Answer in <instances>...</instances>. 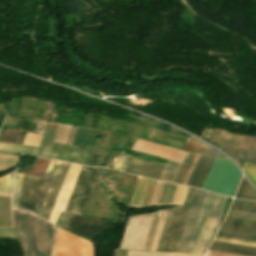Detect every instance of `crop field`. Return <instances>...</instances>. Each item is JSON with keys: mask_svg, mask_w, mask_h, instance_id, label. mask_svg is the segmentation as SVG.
Segmentation results:
<instances>
[{"mask_svg": "<svg viewBox=\"0 0 256 256\" xmlns=\"http://www.w3.org/2000/svg\"><path fill=\"white\" fill-rule=\"evenodd\" d=\"M128 256H196V255H181V254L128 251Z\"/></svg>", "mask_w": 256, "mask_h": 256, "instance_id": "37", "label": "crop field"}, {"mask_svg": "<svg viewBox=\"0 0 256 256\" xmlns=\"http://www.w3.org/2000/svg\"><path fill=\"white\" fill-rule=\"evenodd\" d=\"M216 132H217V130H216V129H214V131H213V133H212V135H211V137H210V139H209V142H211V140H212V139H213V137L215 136Z\"/></svg>", "mask_w": 256, "mask_h": 256, "instance_id": "55", "label": "crop field"}, {"mask_svg": "<svg viewBox=\"0 0 256 256\" xmlns=\"http://www.w3.org/2000/svg\"><path fill=\"white\" fill-rule=\"evenodd\" d=\"M240 175L230 160L216 158L201 188L232 197Z\"/></svg>", "mask_w": 256, "mask_h": 256, "instance_id": "4", "label": "crop field"}, {"mask_svg": "<svg viewBox=\"0 0 256 256\" xmlns=\"http://www.w3.org/2000/svg\"><path fill=\"white\" fill-rule=\"evenodd\" d=\"M78 149L76 147L53 144L48 158L73 163Z\"/></svg>", "mask_w": 256, "mask_h": 256, "instance_id": "15", "label": "crop field"}, {"mask_svg": "<svg viewBox=\"0 0 256 256\" xmlns=\"http://www.w3.org/2000/svg\"><path fill=\"white\" fill-rule=\"evenodd\" d=\"M209 132H210V130H209ZM209 132H208V134H209ZM208 134H207V136H208ZM207 138V137H206Z\"/></svg>", "mask_w": 256, "mask_h": 256, "instance_id": "60", "label": "crop field"}, {"mask_svg": "<svg viewBox=\"0 0 256 256\" xmlns=\"http://www.w3.org/2000/svg\"><path fill=\"white\" fill-rule=\"evenodd\" d=\"M112 225V222L71 215L66 227L94 239Z\"/></svg>", "mask_w": 256, "mask_h": 256, "instance_id": "10", "label": "crop field"}, {"mask_svg": "<svg viewBox=\"0 0 256 256\" xmlns=\"http://www.w3.org/2000/svg\"><path fill=\"white\" fill-rule=\"evenodd\" d=\"M217 235L256 241V234H250V233H243V232H236V231L220 229L219 232L217 233Z\"/></svg>", "mask_w": 256, "mask_h": 256, "instance_id": "24", "label": "crop field"}, {"mask_svg": "<svg viewBox=\"0 0 256 256\" xmlns=\"http://www.w3.org/2000/svg\"><path fill=\"white\" fill-rule=\"evenodd\" d=\"M230 209L238 210V211H245V212L256 213V207L255 206H248V205L232 203Z\"/></svg>", "mask_w": 256, "mask_h": 256, "instance_id": "41", "label": "crop field"}, {"mask_svg": "<svg viewBox=\"0 0 256 256\" xmlns=\"http://www.w3.org/2000/svg\"><path fill=\"white\" fill-rule=\"evenodd\" d=\"M208 250L244 256H256V248L212 242Z\"/></svg>", "mask_w": 256, "mask_h": 256, "instance_id": "14", "label": "crop field"}, {"mask_svg": "<svg viewBox=\"0 0 256 256\" xmlns=\"http://www.w3.org/2000/svg\"><path fill=\"white\" fill-rule=\"evenodd\" d=\"M58 124L47 123L37 155L47 157Z\"/></svg>", "mask_w": 256, "mask_h": 256, "instance_id": "18", "label": "crop field"}, {"mask_svg": "<svg viewBox=\"0 0 256 256\" xmlns=\"http://www.w3.org/2000/svg\"><path fill=\"white\" fill-rule=\"evenodd\" d=\"M62 164L51 160L46 172L58 175ZM48 173L44 178L28 175L22 209H28L42 216L57 179L56 175Z\"/></svg>", "mask_w": 256, "mask_h": 256, "instance_id": "3", "label": "crop field"}, {"mask_svg": "<svg viewBox=\"0 0 256 256\" xmlns=\"http://www.w3.org/2000/svg\"><path fill=\"white\" fill-rule=\"evenodd\" d=\"M42 135L26 133L23 145L39 147Z\"/></svg>", "mask_w": 256, "mask_h": 256, "instance_id": "33", "label": "crop field"}, {"mask_svg": "<svg viewBox=\"0 0 256 256\" xmlns=\"http://www.w3.org/2000/svg\"><path fill=\"white\" fill-rule=\"evenodd\" d=\"M71 127L69 125L59 124L53 142L65 144Z\"/></svg>", "mask_w": 256, "mask_h": 256, "instance_id": "28", "label": "crop field"}, {"mask_svg": "<svg viewBox=\"0 0 256 256\" xmlns=\"http://www.w3.org/2000/svg\"><path fill=\"white\" fill-rule=\"evenodd\" d=\"M22 175L15 174L13 208L17 209Z\"/></svg>", "mask_w": 256, "mask_h": 256, "instance_id": "39", "label": "crop field"}, {"mask_svg": "<svg viewBox=\"0 0 256 256\" xmlns=\"http://www.w3.org/2000/svg\"><path fill=\"white\" fill-rule=\"evenodd\" d=\"M230 137H231V134L223 131L222 134L219 137V140H223V141H227L228 142Z\"/></svg>", "mask_w": 256, "mask_h": 256, "instance_id": "51", "label": "crop field"}, {"mask_svg": "<svg viewBox=\"0 0 256 256\" xmlns=\"http://www.w3.org/2000/svg\"><path fill=\"white\" fill-rule=\"evenodd\" d=\"M226 199V197L207 193L188 253L205 254L217 230Z\"/></svg>", "mask_w": 256, "mask_h": 256, "instance_id": "2", "label": "crop field"}, {"mask_svg": "<svg viewBox=\"0 0 256 256\" xmlns=\"http://www.w3.org/2000/svg\"><path fill=\"white\" fill-rule=\"evenodd\" d=\"M100 169L91 167H82L68 203L65 212L82 215L93 188L94 182Z\"/></svg>", "mask_w": 256, "mask_h": 256, "instance_id": "6", "label": "crop field"}, {"mask_svg": "<svg viewBox=\"0 0 256 256\" xmlns=\"http://www.w3.org/2000/svg\"><path fill=\"white\" fill-rule=\"evenodd\" d=\"M168 210H163L150 251H155Z\"/></svg>", "mask_w": 256, "mask_h": 256, "instance_id": "32", "label": "crop field"}, {"mask_svg": "<svg viewBox=\"0 0 256 256\" xmlns=\"http://www.w3.org/2000/svg\"><path fill=\"white\" fill-rule=\"evenodd\" d=\"M13 173L14 171L0 178V194L12 195Z\"/></svg>", "mask_w": 256, "mask_h": 256, "instance_id": "25", "label": "crop field"}, {"mask_svg": "<svg viewBox=\"0 0 256 256\" xmlns=\"http://www.w3.org/2000/svg\"><path fill=\"white\" fill-rule=\"evenodd\" d=\"M188 188L178 186L172 204L182 205Z\"/></svg>", "mask_w": 256, "mask_h": 256, "instance_id": "40", "label": "crop field"}, {"mask_svg": "<svg viewBox=\"0 0 256 256\" xmlns=\"http://www.w3.org/2000/svg\"><path fill=\"white\" fill-rule=\"evenodd\" d=\"M182 149H184L186 151L198 153V154L225 157L224 155H222L218 151L214 150L210 146L204 144L203 142H201L197 139H193V138H188Z\"/></svg>", "mask_w": 256, "mask_h": 256, "instance_id": "17", "label": "crop field"}, {"mask_svg": "<svg viewBox=\"0 0 256 256\" xmlns=\"http://www.w3.org/2000/svg\"><path fill=\"white\" fill-rule=\"evenodd\" d=\"M0 238L17 239L13 227H0Z\"/></svg>", "mask_w": 256, "mask_h": 256, "instance_id": "42", "label": "crop field"}, {"mask_svg": "<svg viewBox=\"0 0 256 256\" xmlns=\"http://www.w3.org/2000/svg\"><path fill=\"white\" fill-rule=\"evenodd\" d=\"M210 157L201 156L187 185L195 187Z\"/></svg>", "mask_w": 256, "mask_h": 256, "instance_id": "23", "label": "crop field"}, {"mask_svg": "<svg viewBox=\"0 0 256 256\" xmlns=\"http://www.w3.org/2000/svg\"><path fill=\"white\" fill-rule=\"evenodd\" d=\"M194 190L189 188L184 206L168 211L156 251H176Z\"/></svg>", "mask_w": 256, "mask_h": 256, "instance_id": "5", "label": "crop field"}, {"mask_svg": "<svg viewBox=\"0 0 256 256\" xmlns=\"http://www.w3.org/2000/svg\"><path fill=\"white\" fill-rule=\"evenodd\" d=\"M100 130L78 127L72 145L80 146L74 163L87 165Z\"/></svg>", "mask_w": 256, "mask_h": 256, "instance_id": "11", "label": "crop field"}, {"mask_svg": "<svg viewBox=\"0 0 256 256\" xmlns=\"http://www.w3.org/2000/svg\"><path fill=\"white\" fill-rule=\"evenodd\" d=\"M176 186L165 182L157 205L171 204Z\"/></svg>", "mask_w": 256, "mask_h": 256, "instance_id": "21", "label": "crop field"}, {"mask_svg": "<svg viewBox=\"0 0 256 256\" xmlns=\"http://www.w3.org/2000/svg\"><path fill=\"white\" fill-rule=\"evenodd\" d=\"M146 129H147V128L144 127V129H143V131H142V134H141L142 137L144 136Z\"/></svg>", "mask_w": 256, "mask_h": 256, "instance_id": "56", "label": "crop field"}, {"mask_svg": "<svg viewBox=\"0 0 256 256\" xmlns=\"http://www.w3.org/2000/svg\"><path fill=\"white\" fill-rule=\"evenodd\" d=\"M165 165L128 156L122 171L159 180Z\"/></svg>", "mask_w": 256, "mask_h": 256, "instance_id": "12", "label": "crop field"}, {"mask_svg": "<svg viewBox=\"0 0 256 256\" xmlns=\"http://www.w3.org/2000/svg\"><path fill=\"white\" fill-rule=\"evenodd\" d=\"M242 137L243 136L233 135L230 141L231 143H233L232 147H231V144L220 142V141H218L217 144L222 148H224L230 154V156L236 159Z\"/></svg>", "mask_w": 256, "mask_h": 256, "instance_id": "22", "label": "crop field"}, {"mask_svg": "<svg viewBox=\"0 0 256 256\" xmlns=\"http://www.w3.org/2000/svg\"><path fill=\"white\" fill-rule=\"evenodd\" d=\"M214 241L256 247V242L216 236Z\"/></svg>", "mask_w": 256, "mask_h": 256, "instance_id": "31", "label": "crop field"}, {"mask_svg": "<svg viewBox=\"0 0 256 256\" xmlns=\"http://www.w3.org/2000/svg\"><path fill=\"white\" fill-rule=\"evenodd\" d=\"M132 151L183 163L187 152L137 139Z\"/></svg>", "mask_w": 256, "mask_h": 256, "instance_id": "9", "label": "crop field"}, {"mask_svg": "<svg viewBox=\"0 0 256 256\" xmlns=\"http://www.w3.org/2000/svg\"><path fill=\"white\" fill-rule=\"evenodd\" d=\"M235 197L256 201V190L248 184L244 176Z\"/></svg>", "mask_w": 256, "mask_h": 256, "instance_id": "20", "label": "crop field"}, {"mask_svg": "<svg viewBox=\"0 0 256 256\" xmlns=\"http://www.w3.org/2000/svg\"><path fill=\"white\" fill-rule=\"evenodd\" d=\"M13 213L16 235L25 256H50L53 224L29 211Z\"/></svg>", "mask_w": 256, "mask_h": 256, "instance_id": "1", "label": "crop field"}, {"mask_svg": "<svg viewBox=\"0 0 256 256\" xmlns=\"http://www.w3.org/2000/svg\"><path fill=\"white\" fill-rule=\"evenodd\" d=\"M142 128H143V127H140V129H139V131H138V133H137V135H136V136H138V137H139V135H140V133H141Z\"/></svg>", "mask_w": 256, "mask_h": 256, "instance_id": "57", "label": "crop field"}, {"mask_svg": "<svg viewBox=\"0 0 256 256\" xmlns=\"http://www.w3.org/2000/svg\"><path fill=\"white\" fill-rule=\"evenodd\" d=\"M244 172L249 179L256 185V166L245 165Z\"/></svg>", "mask_w": 256, "mask_h": 256, "instance_id": "43", "label": "crop field"}, {"mask_svg": "<svg viewBox=\"0 0 256 256\" xmlns=\"http://www.w3.org/2000/svg\"><path fill=\"white\" fill-rule=\"evenodd\" d=\"M194 156L195 155L192 154V156H191L187 165H181V167H180V169H179V171H178V173H177V175H176V177L173 181L174 183H178V184L182 183V181H183V179H184V177H185V175H186V173H187V171H188V169L191 165V162H192Z\"/></svg>", "mask_w": 256, "mask_h": 256, "instance_id": "34", "label": "crop field"}, {"mask_svg": "<svg viewBox=\"0 0 256 256\" xmlns=\"http://www.w3.org/2000/svg\"><path fill=\"white\" fill-rule=\"evenodd\" d=\"M53 256H94L93 246L91 242L57 227Z\"/></svg>", "mask_w": 256, "mask_h": 256, "instance_id": "7", "label": "crop field"}, {"mask_svg": "<svg viewBox=\"0 0 256 256\" xmlns=\"http://www.w3.org/2000/svg\"><path fill=\"white\" fill-rule=\"evenodd\" d=\"M38 148L34 147H26V146H18V145H10V144H2L0 143V150H9V151H17V152H24L35 154L37 153Z\"/></svg>", "mask_w": 256, "mask_h": 256, "instance_id": "29", "label": "crop field"}, {"mask_svg": "<svg viewBox=\"0 0 256 256\" xmlns=\"http://www.w3.org/2000/svg\"><path fill=\"white\" fill-rule=\"evenodd\" d=\"M214 159L215 158H213V157L210 158V160H209V162H208V164H207V166H206V168H205V170H204V172H203V174H202V176H201V178H200V180H199V182H198L196 187H198V188L201 187V185H202V183H203V181H204V179H205V177H206V175H207V173H208V171H209V169H210Z\"/></svg>", "mask_w": 256, "mask_h": 256, "instance_id": "45", "label": "crop field"}, {"mask_svg": "<svg viewBox=\"0 0 256 256\" xmlns=\"http://www.w3.org/2000/svg\"><path fill=\"white\" fill-rule=\"evenodd\" d=\"M55 117H56V115H55V114H53L51 119H52V120H54V119H55Z\"/></svg>", "mask_w": 256, "mask_h": 256, "instance_id": "58", "label": "crop field"}, {"mask_svg": "<svg viewBox=\"0 0 256 256\" xmlns=\"http://www.w3.org/2000/svg\"><path fill=\"white\" fill-rule=\"evenodd\" d=\"M205 191L195 190L189 213L176 252L187 253L206 196Z\"/></svg>", "mask_w": 256, "mask_h": 256, "instance_id": "8", "label": "crop field"}, {"mask_svg": "<svg viewBox=\"0 0 256 256\" xmlns=\"http://www.w3.org/2000/svg\"><path fill=\"white\" fill-rule=\"evenodd\" d=\"M233 202H235V203H242V204H248V205H255L256 206V203H254V202H246V201H238V200H233Z\"/></svg>", "mask_w": 256, "mask_h": 256, "instance_id": "54", "label": "crop field"}, {"mask_svg": "<svg viewBox=\"0 0 256 256\" xmlns=\"http://www.w3.org/2000/svg\"><path fill=\"white\" fill-rule=\"evenodd\" d=\"M158 183L159 182L157 181L148 207L152 206L153 199H154V196H155V193H156V190H157Z\"/></svg>", "mask_w": 256, "mask_h": 256, "instance_id": "53", "label": "crop field"}, {"mask_svg": "<svg viewBox=\"0 0 256 256\" xmlns=\"http://www.w3.org/2000/svg\"><path fill=\"white\" fill-rule=\"evenodd\" d=\"M37 122L35 120L19 119L14 129L34 132Z\"/></svg>", "mask_w": 256, "mask_h": 256, "instance_id": "30", "label": "crop field"}, {"mask_svg": "<svg viewBox=\"0 0 256 256\" xmlns=\"http://www.w3.org/2000/svg\"><path fill=\"white\" fill-rule=\"evenodd\" d=\"M181 164L169 161L160 180L172 182Z\"/></svg>", "mask_w": 256, "mask_h": 256, "instance_id": "27", "label": "crop field"}, {"mask_svg": "<svg viewBox=\"0 0 256 256\" xmlns=\"http://www.w3.org/2000/svg\"><path fill=\"white\" fill-rule=\"evenodd\" d=\"M77 126H73L66 144L71 145Z\"/></svg>", "mask_w": 256, "mask_h": 256, "instance_id": "50", "label": "crop field"}, {"mask_svg": "<svg viewBox=\"0 0 256 256\" xmlns=\"http://www.w3.org/2000/svg\"><path fill=\"white\" fill-rule=\"evenodd\" d=\"M146 178H137V182L135 185V189H134V193L132 196V200L130 203V207L129 208H139L140 207V203L143 197V193L146 187V183H147Z\"/></svg>", "mask_w": 256, "mask_h": 256, "instance_id": "19", "label": "crop field"}, {"mask_svg": "<svg viewBox=\"0 0 256 256\" xmlns=\"http://www.w3.org/2000/svg\"><path fill=\"white\" fill-rule=\"evenodd\" d=\"M69 165L70 164L64 163L63 166H62V169L60 171V174H59V177H58L57 182L55 184V187L53 189V192L50 196V199L48 201V204H47L46 209L44 211V214L42 216V218H44L46 220H49V218H50L51 212L53 210L54 204L56 202L57 196H58L59 191L61 189V186H62V183L64 181V178H65V175L67 173Z\"/></svg>", "mask_w": 256, "mask_h": 256, "instance_id": "16", "label": "crop field"}, {"mask_svg": "<svg viewBox=\"0 0 256 256\" xmlns=\"http://www.w3.org/2000/svg\"><path fill=\"white\" fill-rule=\"evenodd\" d=\"M224 222L256 227L255 220L242 219V218H236V217H230V216H227Z\"/></svg>", "mask_w": 256, "mask_h": 256, "instance_id": "35", "label": "crop field"}, {"mask_svg": "<svg viewBox=\"0 0 256 256\" xmlns=\"http://www.w3.org/2000/svg\"><path fill=\"white\" fill-rule=\"evenodd\" d=\"M155 182L156 181H153V180H150V179L148 180V184H147L145 194H144V197H143L142 204H141L140 208H144V207L148 206V203H149V200H150Z\"/></svg>", "mask_w": 256, "mask_h": 256, "instance_id": "36", "label": "crop field"}, {"mask_svg": "<svg viewBox=\"0 0 256 256\" xmlns=\"http://www.w3.org/2000/svg\"><path fill=\"white\" fill-rule=\"evenodd\" d=\"M227 215L236 216V217H243V218H249V219H255L256 220V214H251V213H245V212H238V211L229 210Z\"/></svg>", "mask_w": 256, "mask_h": 256, "instance_id": "44", "label": "crop field"}, {"mask_svg": "<svg viewBox=\"0 0 256 256\" xmlns=\"http://www.w3.org/2000/svg\"><path fill=\"white\" fill-rule=\"evenodd\" d=\"M80 167L81 166L79 165H73V164L70 165L65 181L63 183L62 189L60 191L57 202L55 204L54 210L52 212L51 218L49 220L50 222L55 224L60 211L64 210Z\"/></svg>", "mask_w": 256, "mask_h": 256, "instance_id": "13", "label": "crop field"}, {"mask_svg": "<svg viewBox=\"0 0 256 256\" xmlns=\"http://www.w3.org/2000/svg\"><path fill=\"white\" fill-rule=\"evenodd\" d=\"M126 158H127V155L120 153L113 168L121 170Z\"/></svg>", "mask_w": 256, "mask_h": 256, "instance_id": "47", "label": "crop field"}, {"mask_svg": "<svg viewBox=\"0 0 256 256\" xmlns=\"http://www.w3.org/2000/svg\"><path fill=\"white\" fill-rule=\"evenodd\" d=\"M211 132H212V130H211ZM211 132H210V134H209V136H208V138H207V139H209V137H210V135H211Z\"/></svg>", "mask_w": 256, "mask_h": 256, "instance_id": "59", "label": "crop field"}, {"mask_svg": "<svg viewBox=\"0 0 256 256\" xmlns=\"http://www.w3.org/2000/svg\"><path fill=\"white\" fill-rule=\"evenodd\" d=\"M245 162L256 164V149L248 148Z\"/></svg>", "mask_w": 256, "mask_h": 256, "instance_id": "46", "label": "crop field"}, {"mask_svg": "<svg viewBox=\"0 0 256 256\" xmlns=\"http://www.w3.org/2000/svg\"><path fill=\"white\" fill-rule=\"evenodd\" d=\"M162 211V210H161ZM161 211L155 212L143 250L149 251L160 218Z\"/></svg>", "mask_w": 256, "mask_h": 256, "instance_id": "26", "label": "crop field"}, {"mask_svg": "<svg viewBox=\"0 0 256 256\" xmlns=\"http://www.w3.org/2000/svg\"><path fill=\"white\" fill-rule=\"evenodd\" d=\"M70 214L61 212L57 221V225L63 227Z\"/></svg>", "mask_w": 256, "mask_h": 256, "instance_id": "49", "label": "crop field"}, {"mask_svg": "<svg viewBox=\"0 0 256 256\" xmlns=\"http://www.w3.org/2000/svg\"><path fill=\"white\" fill-rule=\"evenodd\" d=\"M109 133H110V132L104 131L98 143L105 145V144H106V141H107V138H108V136H109ZM104 134H105V137H104V139L102 140Z\"/></svg>", "mask_w": 256, "mask_h": 256, "instance_id": "52", "label": "crop field"}, {"mask_svg": "<svg viewBox=\"0 0 256 256\" xmlns=\"http://www.w3.org/2000/svg\"><path fill=\"white\" fill-rule=\"evenodd\" d=\"M221 228H223V229H230V230H236V231L256 233V228H254V227H247V226H240V225H233V224L223 223Z\"/></svg>", "mask_w": 256, "mask_h": 256, "instance_id": "38", "label": "crop field"}, {"mask_svg": "<svg viewBox=\"0 0 256 256\" xmlns=\"http://www.w3.org/2000/svg\"><path fill=\"white\" fill-rule=\"evenodd\" d=\"M26 177H27V175H23V178H22V185H21V192H20V199H19L18 209H21V207H22V201H23Z\"/></svg>", "mask_w": 256, "mask_h": 256, "instance_id": "48", "label": "crop field"}]
</instances>
